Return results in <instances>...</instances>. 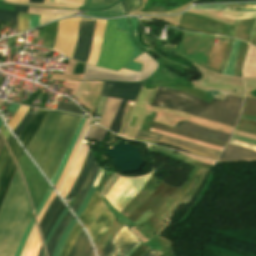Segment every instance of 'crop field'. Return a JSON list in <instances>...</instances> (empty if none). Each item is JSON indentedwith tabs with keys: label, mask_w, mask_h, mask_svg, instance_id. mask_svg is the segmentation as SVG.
<instances>
[{
	"label": "crop field",
	"mask_w": 256,
	"mask_h": 256,
	"mask_svg": "<svg viewBox=\"0 0 256 256\" xmlns=\"http://www.w3.org/2000/svg\"><path fill=\"white\" fill-rule=\"evenodd\" d=\"M82 116L49 110L27 151L51 181Z\"/></svg>",
	"instance_id": "obj_1"
},
{
	"label": "crop field",
	"mask_w": 256,
	"mask_h": 256,
	"mask_svg": "<svg viewBox=\"0 0 256 256\" xmlns=\"http://www.w3.org/2000/svg\"><path fill=\"white\" fill-rule=\"evenodd\" d=\"M22 177L16 170L0 212V256H14L32 218Z\"/></svg>",
	"instance_id": "obj_2"
},
{
	"label": "crop field",
	"mask_w": 256,
	"mask_h": 256,
	"mask_svg": "<svg viewBox=\"0 0 256 256\" xmlns=\"http://www.w3.org/2000/svg\"><path fill=\"white\" fill-rule=\"evenodd\" d=\"M151 105L183 111L233 127L239 117L236 114L212 106L198 98L165 87L158 89Z\"/></svg>",
	"instance_id": "obj_3"
},
{
	"label": "crop field",
	"mask_w": 256,
	"mask_h": 256,
	"mask_svg": "<svg viewBox=\"0 0 256 256\" xmlns=\"http://www.w3.org/2000/svg\"><path fill=\"white\" fill-rule=\"evenodd\" d=\"M132 45L124 32L115 29V20H108L97 66L119 71L131 59Z\"/></svg>",
	"instance_id": "obj_4"
},
{
	"label": "crop field",
	"mask_w": 256,
	"mask_h": 256,
	"mask_svg": "<svg viewBox=\"0 0 256 256\" xmlns=\"http://www.w3.org/2000/svg\"><path fill=\"white\" fill-rule=\"evenodd\" d=\"M18 166L25 177L29 194L35 208L48 184L28 159L25 153L22 156Z\"/></svg>",
	"instance_id": "obj_5"
},
{
	"label": "crop field",
	"mask_w": 256,
	"mask_h": 256,
	"mask_svg": "<svg viewBox=\"0 0 256 256\" xmlns=\"http://www.w3.org/2000/svg\"><path fill=\"white\" fill-rule=\"evenodd\" d=\"M135 138L164 143V144L170 145L172 147L180 148L184 151L198 154L201 156H205V157L215 159V160H217L218 154H219V152H217L215 150L207 149L204 147L196 146V145L182 142L179 140H175V139H172L169 137H165L162 135H158V134H154V133H150V132H146V131H141V130L138 131Z\"/></svg>",
	"instance_id": "obj_6"
},
{
	"label": "crop field",
	"mask_w": 256,
	"mask_h": 256,
	"mask_svg": "<svg viewBox=\"0 0 256 256\" xmlns=\"http://www.w3.org/2000/svg\"><path fill=\"white\" fill-rule=\"evenodd\" d=\"M176 190H178V188H172L161 182L153 191L148 200L138 206L127 218L134 222L148 209L150 210L151 214L154 215L158 211L161 204L165 202L167 198Z\"/></svg>",
	"instance_id": "obj_7"
},
{
	"label": "crop field",
	"mask_w": 256,
	"mask_h": 256,
	"mask_svg": "<svg viewBox=\"0 0 256 256\" xmlns=\"http://www.w3.org/2000/svg\"><path fill=\"white\" fill-rule=\"evenodd\" d=\"M95 21L94 19L81 18L77 45L71 58L87 62Z\"/></svg>",
	"instance_id": "obj_8"
},
{
	"label": "crop field",
	"mask_w": 256,
	"mask_h": 256,
	"mask_svg": "<svg viewBox=\"0 0 256 256\" xmlns=\"http://www.w3.org/2000/svg\"><path fill=\"white\" fill-rule=\"evenodd\" d=\"M137 241L126 224L111 239L100 256H124Z\"/></svg>",
	"instance_id": "obj_9"
},
{
	"label": "crop field",
	"mask_w": 256,
	"mask_h": 256,
	"mask_svg": "<svg viewBox=\"0 0 256 256\" xmlns=\"http://www.w3.org/2000/svg\"><path fill=\"white\" fill-rule=\"evenodd\" d=\"M140 73L121 69L119 72L86 65L83 80L98 79L111 81L136 82Z\"/></svg>",
	"instance_id": "obj_10"
},
{
	"label": "crop field",
	"mask_w": 256,
	"mask_h": 256,
	"mask_svg": "<svg viewBox=\"0 0 256 256\" xmlns=\"http://www.w3.org/2000/svg\"><path fill=\"white\" fill-rule=\"evenodd\" d=\"M142 84L105 82L101 95L134 101Z\"/></svg>",
	"instance_id": "obj_11"
},
{
	"label": "crop field",
	"mask_w": 256,
	"mask_h": 256,
	"mask_svg": "<svg viewBox=\"0 0 256 256\" xmlns=\"http://www.w3.org/2000/svg\"><path fill=\"white\" fill-rule=\"evenodd\" d=\"M104 205L105 204L100 194L95 191L79 219L84 227L87 229L88 233L92 228L94 222L96 221L98 215L100 214L101 210L103 209Z\"/></svg>",
	"instance_id": "obj_12"
},
{
	"label": "crop field",
	"mask_w": 256,
	"mask_h": 256,
	"mask_svg": "<svg viewBox=\"0 0 256 256\" xmlns=\"http://www.w3.org/2000/svg\"><path fill=\"white\" fill-rule=\"evenodd\" d=\"M175 129L183 130L192 134H196L202 137L218 140L225 143H227L231 137L230 135H227L218 131L210 130V129L192 124L187 121L183 123H179L175 127Z\"/></svg>",
	"instance_id": "obj_13"
},
{
	"label": "crop field",
	"mask_w": 256,
	"mask_h": 256,
	"mask_svg": "<svg viewBox=\"0 0 256 256\" xmlns=\"http://www.w3.org/2000/svg\"><path fill=\"white\" fill-rule=\"evenodd\" d=\"M160 180L151 175L142 190L120 211L124 216H128L139 204L143 203L152 193Z\"/></svg>",
	"instance_id": "obj_14"
},
{
	"label": "crop field",
	"mask_w": 256,
	"mask_h": 256,
	"mask_svg": "<svg viewBox=\"0 0 256 256\" xmlns=\"http://www.w3.org/2000/svg\"><path fill=\"white\" fill-rule=\"evenodd\" d=\"M256 160V152L240 146L228 144L218 161Z\"/></svg>",
	"instance_id": "obj_15"
},
{
	"label": "crop field",
	"mask_w": 256,
	"mask_h": 256,
	"mask_svg": "<svg viewBox=\"0 0 256 256\" xmlns=\"http://www.w3.org/2000/svg\"><path fill=\"white\" fill-rule=\"evenodd\" d=\"M114 218L115 217L113 216L111 211L105 205L104 209L102 210L100 216L98 217L97 221L95 222L93 228L89 233V235L93 240L94 245L98 241V239L101 237V235L105 232V230L113 222Z\"/></svg>",
	"instance_id": "obj_16"
},
{
	"label": "crop field",
	"mask_w": 256,
	"mask_h": 256,
	"mask_svg": "<svg viewBox=\"0 0 256 256\" xmlns=\"http://www.w3.org/2000/svg\"><path fill=\"white\" fill-rule=\"evenodd\" d=\"M47 110L38 109L36 111L34 117L31 119V121L28 123V125L23 129V131L19 134V140L26 148L27 144L29 143L30 139L35 134L36 130L40 126Z\"/></svg>",
	"instance_id": "obj_17"
},
{
	"label": "crop field",
	"mask_w": 256,
	"mask_h": 256,
	"mask_svg": "<svg viewBox=\"0 0 256 256\" xmlns=\"http://www.w3.org/2000/svg\"><path fill=\"white\" fill-rule=\"evenodd\" d=\"M16 166L10 156L8 155L2 175L1 185H0V210L2 208L4 199L6 197L8 188L13 180Z\"/></svg>",
	"instance_id": "obj_18"
},
{
	"label": "crop field",
	"mask_w": 256,
	"mask_h": 256,
	"mask_svg": "<svg viewBox=\"0 0 256 256\" xmlns=\"http://www.w3.org/2000/svg\"><path fill=\"white\" fill-rule=\"evenodd\" d=\"M190 10H220L229 12H255L256 2L247 4H233V5H206L195 6Z\"/></svg>",
	"instance_id": "obj_19"
},
{
	"label": "crop field",
	"mask_w": 256,
	"mask_h": 256,
	"mask_svg": "<svg viewBox=\"0 0 256 256\" xmlns=\"http://www.w3.org/2000/svg\"><path fill=\"white\" fill-rule=\"evenodd\" d=\"M116 27H117L118 30L126 31L130 40H131V42H132V45H133V48H134V53H133V56H132V60H134L138 55L144 53L135 44V42L132 38L131 31H130V28H129V25H128V22H127L126 18L116 20ZM132 60L124 68L140 72L143 65L138 64V63H134V62H132Z\"/></svg>",
	"instance_id": "obj_20"
},
{
	"label": "crop field",
	"mask_w": 256,
	"mask_h": 256,
	"mask_svg": "<svg viewBox=\"0 0 256 256\" xmlns=\"http://www.w3.org/2000/svg\"><path fill=\"white\" fill-rule=\"evenodd\" d=\"M167 220L158 218L156 216H151L143 226H141L138 230L140 234L146 237L148 240L162 227V225Z\"/></svg>",
	"instance_id": "obj_21"
},
{
	"label": "crop field",
	"mask_w": 256,
	"mask_h": 256,
	"mask_svg": "<svg viewBox=\"0 0 256 256\" xmlns=\"http://www.w3.org/2000/svg\"><path fill=\"white\" fill-rule=\"evenodd\" d=\"M93 161H94V159H93V157H92V155L89 151V153H88V155H87V157H86V159L83 163V166L80 170V173L77 177V180H76L75 184L73 185V187L71 188L68 195L66 196V198H71V197L77 195V193H78V191H79V189H80V187H81V185H82V183H83V181H84V179H85Z\"/></svg>",
	"instance_id": "obj_22"
},
{
	"label": "crop field",
	"mask_w": 256,
	"mask_h": 256,
	"mask_svg": "<svg viewBox=\"0 0 256 256\" xmlns=\"http://www.w3.org/2000/svg\"><path fill=\"white\" fill-rule=\"evenodd\" d=\"M92 249L83 230H81L69 256H90Z\"/></svg>",
	"instance_id": "obj_23"
},
{
	"label": "crop field",
	"mask_w": 256,
	"mask_h": 256,
	"mask_svg": "<svg viewBox=\"0 0 256 256\" xmlns=\"http://www.w3.org/2000/svg\"><path fill=\"white\" fill-rule=\"evenodd\" d=\"M242 99L226 96L224 101L214 98L210 103L239 115Z\"/></svg>",
	"instance_id": "obj_24"
},
{
	"label": "crop field",
	"mask_w": 256,
	"mask_h": 256,
	"mask_svg": "<svg viewBox=\"0 0 256 256\" xmlns=\"http://www.w3.org/2000/svg\"><path fill=\"white\" fill-rule=\"evenodd\" d=\"M98 168H99L98 165L94 162V164L92 166V169H91V171H90L86 181L82 185V187H81V189H80L76 199L74 200V202L72 204L71 209H72V211L74 213L76 212V210L78 209L80 203L82 202V200H83V198H84V196H85V194H86V192H87V190H88V188H89V186H90V184H91V182H92V180H93V178H94Z\"/></svg>",
	"instance_id": "obj_25"
},
{
	"label": "crop field",
	"mask_w": 256,
	"mask_h": 256,
	"mask_svg": "<svg viewBox=\"0 0 256 256\" xmlns=\"http://www.w3.org/2000/svg\"><path fill=\"white\" fill-rule=\"evenodd\" d=\"M86 119L87 118L83 116L81 121H80V123H79V125H78V127H77V130H76V132H75V134L73 136V139H72V141H71V143H70V145H69V147L67 149V152H66V154H65V156H64V158H63V160H62V162H61V164H60V166H59V168H58V170H57V172H56L52 182H51L53 186H55V184H56V182H57V180H58V178H59V176H60V174H61V172H62V170H63V168H64V166L66 164V162H67V159H68V157L70 155V152H71V150H72V148H73V146L75 144V141H76V139H77V137H78V135H79V133H80V131H81L85 121H86Z\"/></svg>",
	"instance_id": "obj_26"
},
{
	"label": "crop field",
	"mask_w": 256,
	"mask_h": 256,
	"mask_svg": "<svg viewBox=\"0 0 256 256\" xmlns=\"http://www.w3.org/2000/svg\"><path fill=\"white\" fill-rule=\"evenodd\" d=\"M89 121H90V119H87V121H86V123H85V125H84V127H83V129H82V131H81L77 141H76V144H75V146H74V148L72 150V153H71V155H70V157L68 159V162H67V164H66V166L64 168V171H63V173H62V175H61V177H60V179H59V181H58V183H57V185L55 187L58 192H60V187H61V185H62V183H63V181H64V179H65V177H66V175H67L71 165H72V162H73V159L75 157L76 151L78 149V146L80 144V141L82 139V136H83V134L85 132V129H86Z\"/></svg>",
	"instance_id": "obj_27"
},
{
	"label": "crop field",
	"mask_w": 256,
	"mask_h": 256,
	"mask_svg": "<svg viewBox=\"0 0 256 256\" xmlns=\"http://www.w3.org/2000/svg\"><path fill=\"white\" fill-rule=\"evenodd\" d=\"M71 214L68 213L66 214V216L64 217V219L61 221V223L57 226V228L55 229L50 241H49V244L47 246V252H48V256H51L52 255V252L55 248V245L61 235V233L63 232L64 228L66 227V225L68 224L69 220L71 219Z\"/></svg>",
	"instance_id": "obj_28"
},
{
	"label": "crop field",
	"mask_w": 256,
	"mask_h": 256,
	"mask_svg": "<svg viewBox=\"0 0 256 256\" xmlns=\"http://www.w3.org/2000/svg\"><path fill=\"white\" fill-rule=\"evenodd\" d=\"M61 201L59 200V198L56 197L53 199L52 203L50 204V206L48 207V209L46 210L39 226L41 229V233H42V237L47 229V226L50 222V220L52 219L54 213L56 212V210L58 209V207L61 205Z\"/></svg>",
	"instance_id": "obj_29"
},
{
	"label": "crop field",
	"mask_w": 256,
	"mask_h": 256,
	"mask_svg": "<svg viewBox=\"0 0 256 256\" xmlns=\"http://www.w3.org/2000/svg\"><path fill=\"white\" fill-rule=\"evenodd\" d=\"M151 127L161 129V130H165V131H168V132H171V133H174V134L186 136V137H189V138H193V139H196V140L204 141V142L211 143V144H214V145L222 146V147H224V145H225V143H221V142H218V141H214V140L202 138V137H199V136H195V135H192V134H189V133H185V132H182V131H179V130H175V129L166 127V126L158 124V123H154V122L152 123Z\"/></svg>",
	"instance_id": "obj_30"
},
{
	"label": "crop field",
	"mask_w": 256,
	"mask_h": 256,
	"mask_svg": "<svg viewBox=\"0 0 256 256\" xmlns=\"http://www.w3.org/2000/svg\"><path fill=\"white\" fill-rule=\"evenodd\" d=\"M86 15H91V16H99V17H117V16H123V10L121 3H118L116 6L109 8L107 10H102V11H86Z\"/></svg>",
	"instance_id": "obj_31"
},
{
	"label": "crop field",
	"mask_w": 256,
	"mask_h": 256,
	"mask_svg": "<svg viewBox=\"0 0 256 256\" xmlns=\"http://www.w3.org/2000/svg\"><path fill=\"white\" fill-rule=\"evenodd\" d=\"M239 44H240V41L234 39L229 61H228L222 74H228V75L233 76L234 70H235V65H236Z\"/></svg>",
	"instance_id": "obj_32"
},
{
	"label": "crop field",
	"mask_w": 256,
	"mask_h": 256,
	"mask_svg": "<svg viewBox=\"0 0 256 256\" xmlns=\"http://www.w3.org/2000/svg\"><path fill=\"white\" fill-rule=\"evenodd\" d=\"M103 172H104V169L100 168L98 173H97V175H96V177H95V179H94V181H93V183H92V185H91V187H90V189L88 190V192H87L83 202L81 203L79 209L77 210V212L75 214L78 218L80 217V215L83 212L86 204L88 203L90 197L92 196V194H93V192H94V190H95V188H96V186L98 184V181H99V179H100V177H101Z\"/></svg>",
	"instance_id": "obj_33"
},
{
	"label": "crop field",
	"mask_w": 256,
	"mask_h": 256,
	"mask_svg": "<svg viewBox=\"0 0 256 256\" xmlns=\"http://www.w3.org/2000/svg\"><path fill=\"white\" fill-rule=\"evenodd\" d=\"M29 7L15 5V12L12 11H1L0 10V21L6 22H17L18 12L27 13Z\"/></svg>",
	"instance_id": "obj_34"
},
{
	"label": "crop field",
	"mask_w": 256,
	"mask_h": 256,
	"mask_svg": "<svg viewBox=\"0 0 256 256\" xmlns=\"http://www.w3.org/2000/svg\"><path fill=\"white\" fill-rule=\"evenodd\" d=\"M75 220L74 218L72 217L71 221L69 222V224L67 225L66 229L64 230V232L62 233L57 245H56V248L53 252V255L52 256H60V253L65 245V242L67 240V237L70 233V231L72 230L74 224H75Z\"/></svg>",
	"instance_id": "obj_35"
},
{
	"label": "crop field",
	"mask_w": 256,
	"mask_h": 256,
	"mask_svg": "<svg viewBox=\"0 0 256 256\" xmlns=\"http://www.w3.org/2000/svg\"><path fill=\"white\" fill-rule=\"evenodd\" d=\"M118 0H86L85 5L80 8L85 9H102L112 6Z\"/></svg>",
	"instance_id": "obj_36"
},
{
	"label": "crop field",
	"mask_w": 256,
	"mask_h": 256,
	"mask_svg": "<svg viewBox=\"0 0 256 256\" xmlns=\"http://www.w3.org/2000/svg\"><path fill=\"white\" fill-rule=\"evenodd\" d=\"M80 230H81V228L76 222V224H75V226H74V228H73V230H72V232H71V234H70V236L67 240V243L64 247V250H63L61 256H68V254L70 252V249H71V247H72V245H73V243H74V241H75V239H76Z\"/></svg>",
	"instance_id": "obj_37"
},
{
	"label": "crop field",
	"mask_w": 256,
	"mask_h": 256,
	"mask_svg": "<svg viewBox=\"0 0 256 256\" xmlns=\"http://www.w3.org/2000/svg\"><path fill=\"white\" fill-rule=\"evenodd\" d=\"M126 102L125 100L122 101L116 115H115V118L109 128V130L113 131L114 133H118L119 129H120V122H121V118H122V114H123V111H124V108H125V105H126Z\"/></svg>",
	"instance_id": "obj_38"
},
{
	"label": "crop field",
	"mask_w": 256,
	"mask_h": 256,
	"mask_svg": "<svg viewBox=\"0 0 256 256\" xmlns=\"http://www.w3.org/2000/svg\"><path fill=\"white\" fill-rule=\"evenodd\" d=\"M242 114L256 116V99L245 97Z\"/></svg>",
	"instance_id": "obj_39"
},
{
	"label": "crop field",
	"mask_w": 256,
	"mask_h": 256,
	"mask_svg": "<svg viewBox=\"0 0 256 256\" xmlns=\"http://www.w3.org/2000/svg\"><path fill=\"white\" fill-rule=\"evenodd\" d=\"M16 162L18 163L19 159L23 155V150L20 148V146L17 144V142L14 140L13 137H10L6 140Z\"/></svg>",
	"instance_id": "obj_40"
},
{
	"label": "crop field",
	"mask_w": 256,
	"mask_h": 256,
	"mask_svg": "<svg viewBox=\"0 0 256 256\" xmlns=\"http://www.w3.org/2000/svg\"><path fill=\"white\" fill-rule=\"evenodd\" d=\"M28 108H29L28 106L21 105L18 111L16 112V114L10 120L8 125L12 129V131L16 127V125L19 123L21 118L24 116V114L27 112Z\"/></svg>",
	"instance_id": "obj_41"
},
{
	"label": "crop field",
	"mask_w": 256,
	"mask_h": 256,
	"mask_svg": "<svg viewBox=\"0 0 256 256\" xmlns=\"http://www.w3.org/2000/svg\"><path fill=\"white\" fill-rule=\"evenodd\" d=\"M55 109H60V110L75 113V114H82V110L79 107H77L76 104L70 105V104H66L58 101V103L55 106Z\"/></svg>",
	"instance_id": "obj_42"
},
{
	"label": "crop field",
	"mask_w": 256,
	"mask_h": 256,
	"mask_svg": "<svg viewBox=\"0 0 256 256\" xmlns=\"http://www.w3.org/2000/svg\"><path fill=\"white\" fill-rule=\"evenodd\" d=\"M40 245H41V242H40L39 235H38V232H37V229H36V232H35V235L33 237V240H32V243L30 245L27 256H36Z\"/></svg>",
	"instance_id": "obj_43"
},
{
	"label": "crop field",
	"mask_w": 256,
	"mask_h": 256,
	"mask_svg": "<svg viewBox=\"0 0 256 256\" xmlns=\"http://www.w3.org/2000/svg\"><path fill=\"white\" fill-rule=\"evenodd\" d=\"M29 16H30V14H23V13H19L18 14V29H17V33L29 29L28 28Z\"/></svg>",
	"instance_id": "obj_44"
},
{
	"label": "crop field",
	"mask_w": 256,
	"mask_h": 256,
	"mask_svg": "<svg viewBox=\"0 0 256 256\" xmlns=\"http://www.w3.org/2000/svg\"><path fill=\"white\" fill-rule=\"evenodd\" d=\"M32 114H28L26 113V115L24 116V118L21 120V122L18 124V126L15 128V130L13 131L14 134L17 135L22 131V129L27 125V123L30 121V119L32 118Z\"/></svg>",
	"instance_id": "obj_45"
},
{
	"label": "crop field",
	"mask_w": 256,
	"mask_h": 256,
	"mask_svg": "<svg viewBox=\"0 0 256 256\" xmlns=\"http://www.w3.org/2000/svg\"><path fill=\"white\" fill-rule=\"evenodd\" d=\"M128 19H129L130 25L132 27L135 41H137L138 45H140L142 48H144L146 51H148L149 50L148 48H146L140 44L138 36H137L138 20L136 18H128Z\"/></svg>",
	"instance_id": "obj_46"
},
{
	"label": "crop field",
	"mask_w": 256,
	"mask_h": 256,
	"mask_svg": "<svg viewBox=\"0 0 256 256\" xmlns=\"http://www.w3.org/2000/svg\"><path fill=\"white\" fill-rule=\"evenodd\" d=\"M119 225L117 222H113L109 229L102 235V237L99 239V241L96 243L95 247L96 250L98 251V248L100 245L103 243V241L108 237V235Z\"/></svg>",
	"instance_id": "obj_47"
},
{
	"label": "crop field",
	"mask_w": 256,
	"mask_h": 256,
	"mask_svg": "<svg viewBox=\"0 0 256 256\" xmlns=\"http://www.w3.org/2000/svg\"><path fill=\"white\" fill-rule=\"evenodd\" d=\"M34 222H35V220H34V218H32V220H31V222H30V224H29V226H28V228H27V230H26V233H25V235H24V237H23V239H22V241H21V243H20V245H19V247H18V250H17L15 256H20L21 251H22V249H23V247H24V244H25V242H26V239H27V237H28V234H29V232H30V230H31V228H32V226H33V224H34Z\"/></svg>",
	"instance_id": "obj_48"
},
{
	"label": "crop field",
	"mask_w": 256,
	"mask_h": 256,
	"mask_svg": "<svg viewBox=\"0 0 256 256\" xmlns=\"http://www.w3.org/2000/svg\"><path fill=\"white\" fill-rule=\"evenodd\" d=\"M127 14L139 6V0H123Z\"/></svg>",
	"instance_id": "obj_49"
},
{
	"label": "crop field",
	"mask_w": 256,
	"mask_h": 256,
	"mask_svg": "<svg viewBox=\"0 0 256 256\" xmlns=\"http://www.w3.org/2000/svg\"><path fill=\"white\" fill-rule=\"evenodd\" d=\"M64 207H65V206H64V204L62 203V205L60 206V208H59V209L57 210V212L55 213V215H54V217H53V219H52V221H51V223H50V225H49V227H48V229H47V231H46V233H45V235H44V237H43V241H44L45 238L47 237L49 231H50L51 228L53 227V225H54L56 219L58 218V216L60 215V213L62 212V210L64 209Z\"/></svg>",
	"instance_id": "obj_50"
},
{
	"label": "crop field",
	"mask_w": 256,
	"mask_h": 256,
	"mask_svg": "<svg viewBox=\"0 0 256 256\" xmlns=\"http://www.w3.org/2000/svg\"><path fill=\"white\" fill-rule=\"evenodd\" d=\"M126 223L123 221L111 234L110 236L107 238V240L104 242L103 245H101L98 255H100L101 251L104 249V247L107 245V243L110 241V239L116 234V232L125 225Z\"/></svg>",
	"instance_id": "obj_51"
},
{
	"label": "crop field",
	"mask_w": 256,
	"mask_h": 256,
	"mask_svg": "<svg viewBox=\"0 0 256 256\" xmlns=\"http://www.w3.org/2000/svg\"><path fill=\"white\" fill-rule=\"evenodd\" d=\"M35 229H36V224H34L32 230H31V232H30V234H29L28 240H27V242H26L25 248H24V250H23L21 256H26V253H27V251H28V248H29V245H30V243H31L32 237H33V235H34Z\"/></svg>",
	"instance_id": "obj_52"
},
{
	"label": "crop field",
	"mask_w": 256,
	"mask_h": 256,
	"mask_svg": "<svg viewBox=\"0 0 256 256\" xmlns=\"http://www.w3.org/2000/svg\"><path fill=\"white\" fill-rule=\"evenodd\" d=\"M7 154H8V151L4 145L2 151L0 152V179H1L2 171H3L4 160L7 156Z\"/></svg>",
	"instance_id": "obj_53"
},
{
	"label": "crop field",
	"mask_w": 256,
	"mask_h": 256,
	"mask_svg": "<svg viewBox=\"0 0 256 256\" xmlns=\"http://www.w3.org/2000/svg\"><path fill=\"white\" fill-rule=\"evenodd\" d=\"M56 195V193L53 191V193L51 194L50 198L48 199V201L46 202V204L43 206L38 218H37V221L38 223L40 222L45 210L47 209V207L49 206V204L51 203L52 199L54 198V196Z\"/></svg>",
	"instance_id": "obj_54"
},
{
	"label": "crop field",
	"mask_w": 256,
	"mask_h": 256,
	"mask_svg": "<svg viewBox=\"0 0 256 256\" xmlns=\"http://www.w3.org/2000/svg\"><path fill=\"white\" fill-rule=\"evenodd\" d=\"M54 2L81 6L83 5L84 0H54Z\"/></svg>",
	"instance_id": "obj_55"
},
{
	"label": "crop field",
	"mask_w": 256,
	"mask_h": 256,
	"mask_svg": "<svg viewBox=\"0 0 256 256\" xmlns=\"http://www.w3.org/2000/svg\"><path fill=\"white\" fill-rule=\"evenodd\" d=\"M53 189L51 187H49L46 195L44 196L43 200L41 201V203L39 204L38 208L35 211L36 217L40 211V209L42 208V206L44 205V203L46 202V200L48 199V197L50 196V194L52 193Z\"/></svg>",
	"instance_id": "obj_56"
},
{
	"label": "crop field",
	"mask_w": 256,
	"mask_h": 256,
	"mask_svg": "<svg viewBox=\"0 0 256 256\" xmlns=\"http://www.w3.org/2000/svg\"><path fill=\"white\" fill-rule=\"evenodd\" d=\"M67 211H68V210H67V208L65 207V209L63 210V212L61 213V215H60L59 218L57 219V221H56L54 227L52 228L51 232H50L49 235H48V238H47V240H46V242H45L46 246H47V244H48V241H49V239H50V237H51V235H52V233H53L55 227L57 226V224L60 222V220L63 218V216L66 214Z\"/></svg>",
	"instance_id": "obj_57"
},
{
	"label": "crop field",
	"mask_w": 256,
	"mask_h": 256,
	"mask_svg": "<svg viewBox=\"0 0 256 256\" xmlns=\"http://www.w3.org/2000/svg\"><path fill=\"white\" fill-rule=\"evenodd\" d=\"M40 16L31 14L29 28H33L39 25Z\"/></svg>",
	"instance_id": "obj_58"
},
{
	"label": "crop field",
	"mask_w": 256,
	"mask_h": 256,
	"mask_svg": "<svg viewBox=\"0 0 256 256\" xmlns=\"http://www.w3.org/2000/svg\"><path fill=\"white\" fill-rule=\"evenodd\" d=\"M148 248L149 247L142 243L131 256H141Z\"/></svg>",
	"instance_id": "obj_59"
},
{
	"label": "crop field",
	"mask_w": 256,
	"mask_h": 256,
	"mask_svg": "<svg viewBox=\"0 0 256 256\" xmlns=\"http://www.w3.org/2000/svg\"><path fill=\"white\" fill-rule=\"evenodd\" d=\"M85 65L86 64H83V63H77L76 67H75V70H74V73L73 74H81L84 72V68H85Z\"/></svg>",
	"instance_id": "obj_60"
},
{
	"label": "crop field",
	"mask_w": 256,
	"mask_h": 256,
	"mask_svg": "<svg viewBox=\"0 0 256 256\" xmlns=\"http://www.w3.org/2000/svg\"><path fill=\"white\" fill-rule=\"evenodd\" d=\"M160 255H162V253L149 248L142 256H160Z\"/></svg>",
	"instance_id": "obj_61"
},
{
	"label": "crop field",
	"mask_w": 256,
	"mask_h": 256,
	"mask_svg": "<svg viewBox=\"0 0 256 256\" xmlns=\"http://www.w3.org/2000/svg\"><path fill=\"white\" fill-rule=\"evenodd\" d=\"M231 139H234V140H238V141H242V142H246V143H250V144L256 145V142H254V141H250V140H247V139H244V138L235 136V135H233Z\"/></svg>",
	"instance_id": "obj_62"
},
{
	"label": "crop field",
	"mask_w": 256,
	"mask_h": 256,
	"mask_svg": "<svg viewBox=\"0 0 256 256\" xmlns=\"http://www.w3.org/2000/svg\"><path fill=\"white\" fill-rule=\"evenodd\" d=\"M238 123L256 127V121L240 120L239 119Z\"/></svg>",
	"instance_id": "obj_63"
},
{
	"label": "crop field",
	"mask_w": 256,
	"mask_h": 256,
	"mask_svg": "<svg viewBox=\"0 0 256 256\" xmlns=\"http://www.w3.org/2000/svg\"><path fill=\"white\" fill-rule=\"evenodd\" d=\"M19 105L11 103V105L8 107L7 111L15 114L16 110L18 109Z\"/></svg>",
	"instance_id": "obj_64"
},
{
	"label": "crop field",
	"mask_w": 256,
	"mask_h": 256,
	"mask_svg": "<svg viewBox=\"0 0 256 256\" xmlns=\"http://www.w3.org/2000/svg\"><path fill=\"white\" fill-rule=\"evenodd\" d=\"M142 242L139 240L127 253L125 256H130L132 252L141 244Z\"/></svg>",
	"instance_id": "obj_65"
},
{
	"label": "crop field",
	"mask_w": 256,
	"mask_h": 256,
	"mask_svg": "<svg viewBox=\"0 0 256 256\" xmlns=\"http://www.w3.org/2000/svg\"><path fill=\"white\" fill-rule=\"evenodd\" d=\"M162 256H172V247H171V243L168 246V248L166 249L165 253Z\"/></svg>",
	"instance_id": "obj_66"
},
{
	"label": "crop field",
	"mask_w": 256,
	"mask_h": 256,
	"mask_svg": "<svg viewBox=\"0 0 256 256\" xmlns=\"http://www.w3.org/2000/svg\"><path fill=\"white\" fill-rule=\"evenodd\" d=\"M1 133L3 134V136H4L5 140H6V138L9 136L10 132L8 133V131H7L6 127H5L4 130Z\"/></svg>",
	"instance_id": "obj_67"
},
{
	"label": "crop field",
	"mask_w": 256,
	"mask_h": 256,
	"mask_svg": "<svg viewBox=\"0 0 256 256\" xmlns=\"http://www.w3.org/2000/svg\"><path fill=\"white\" fill-rule=\"evenodd\" d=\"M3 145H4V143H3L2 139L0 138V151H1L2 147H3Z\"/></svg>",
	"instance_id": "obj_68"
},
{
	"label": "crop field",
	"mask_w": 256,
	"mask_h": 256,
	"mask_svg": "<svg viewBox=\"0 0 256 256\" xmlns=\"http://www.w3.org/2000/svg\"><path fill=\"white\" fill-rule=\"evenodd\" d=\"M29 2H42L43 3V0H29Z\"/></svg>",
	"instance_id": "obj_69"
},
{
	"label": "crop field",
	"mask_w": 256,
	"mask_h": 256,
	"mask_svg": "<svg viewBox=\"0 0 256 256\" xmlns=\"http://www.w3.org/2000/svg\"><path fill=\"white\" fill-rule=\"evenodd\" d=\"M41 250H42V246H41V248H40V252H39V255H38V256H40V254H41Z\"/></svg>",
	"instance_id": "obj_70"
},
{
	"label": "crop field",
	"mask_w": 256,
	"mask_h": 256,
	"mask_svg": "<svg viewBox=\"0 0 256 256\" xmlns=\"http://www.w3.org/2000/svg\"><path fill=\"white\" fill-rule=\"evenodd\" d=\"M2 125H3V124H2V122H1V120H0V128H1Z\"/></svg>",
	"instance_id": "obj_71"
},
{
	"label": "crop field",
	"mask_w": 256,
	"mask_h": 256,
	"mask_svg": "<svg viewBox=\"0 0 256 256\" xmlns=\"http://www.w3.org/2000/svg\"><path fill=\"white\" fill-rule=\"evenodd\" d=\"M41 256H44V252H43V250H42V254H41Z\"/></svg>",
	"instance_id": "obj_72"
},
{
	"label": "crop field",
	"mask_w": 256,
	"mask_h": 256,
	"mask_svg": "<svg viewBox=\"0 0 256 256\" xmlns=\"http://www.w3.org/2000/svg\"><path fill=\"white\" fill-rule=\"evenodd\" d=\"M92 256H95V255L92 253Z\"/></svg>",
	"instance_id": "obj_73"
}]
</instances>
